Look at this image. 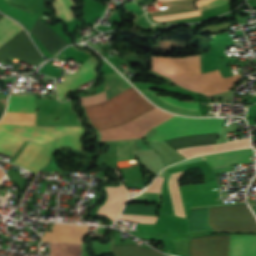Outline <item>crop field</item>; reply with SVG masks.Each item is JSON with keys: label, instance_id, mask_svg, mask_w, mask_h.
Returning a JSON list of instances; mask_svg holds the SVG:
<instances>
[{"label": "crop field", "instance_id": "20", "mask_svg": "<svg viewBox=\"0 0 256 256\" xmlns=\"http://www.w3.org/2000/svg\"><path fill=\"white\" fill-rule=\"evenodd\" d=\"M215 145L211 146H203V147H192V148H183L178 150L179 153L184 155L185 157H193L198 155H204L208 153L214 152Z\"/></svg>", "mask_w": 256, "mask_h": 256}, {"label": "crop field", "instance_id": "24", "mask_svg": "<svg viewBox=\"0 0 256 256\" xmlns=\"http://www.w3.org/2000/svg\"><path fill=\"white\" fill-rule=\"evenodd\" d=\"M120 218L133 221V222H146V223H155L157 219V217L136 216V215H121Z\"/></svg>", "mask_w": 256, "mask_h": 256}, {"label": "crop field", "instance_id": "9", "mask_svg": "<svg viewBox=\"0 0 256 256\" xmlns=\"http://www.w3.org/2000/svg\"><path fill=\"white\" fill-rule=\"evenodd\" d=\"M253 156L252 149L236 150L218 154L203 156L212 169L234 165L239 163L250 162V157Z\"/></svg>", "mask_w": 256, "mask_h": 256}, {"label": "crop field", "instance_id": "8", "mask_svg": "<svg viewBox=\"0 0 256 256\" xmlns=\"http://www.w3.org/2000/svg\"><path fill=\"white\" fill-rule=\"evenodd\" d=\"M104 188L108 193V201L105 205L99 207L97 213L106 215L110 217L111 220H116L127 198V190L122 184L118 187Z\"/></svg>", "mask_w": 256, "mask_h": 256}, {"label": "crop field", "instance_id": "19", "mask_svg": "<svg viewBox=\"0 0 256 256\" xmlns=\"http://www.w3.org/2000/svg\"><path fill=\"white\" fill-rule=\"evenodd\" d=\"M135 159L134 141L118 143V161Z\"/></svg>", "mask_w": 256, "mask_h": 256}, {"label": "crop field", "instance_id": "31", "mask_svg": "<svg viewBox=\"0 0 256 256\" xmlns=\"http://www.w3.org/2000/svg\"><path fill=\"white\" fill-rule=\"evenodd\" d=\"M8 94H0V99H7Z\"/></svg>", "mask_w": 256, "mask_h": 256}, {"label": "crop field", "instance_id": "32", "mask_svg": "<svg viewBox=\"0 0 256 256\" xmlns=\"http://www.w3.org/2000/svg\"><path fill=\"white\" fill-rule=\"evenodd\" d=\"M71 12V14H72V16H73V12H72V10L70 11ZM73 18L75 19V17L73 16Z\"/></svg>", "mask_w": 256, "mask_h": 256}, {"label": "crop field", "instance_id": "13", "mask_svg": "<svg viewBox=\"0 0 256 256\" xmlns=\"http://www.w3.org/2000/svg\"><path fill=\"white\" fill-rule=\"evenodd\" d=\"M113 252L116 256H164L153 249L133 245L114 246Z\"/></svg>", "mask_w": 256, "mask_h": 256}, {"label": "crop field", "instance_id": "3", "mask_svg": "<svg viewBox=\"0 0 256 256\" xmlns=\"http://www.w3.org/2000/svg\"><path fill=\"white\" fill-rule=\"evenodd\" d=\"M251 256H256V235H251ZM250 235L221 236L209 235L190 239L191 256H250Z\"/></svg>", "mask_w": 256, "mask_h": 256}, {"label": "crop field", "instance_id": "15", "mask_svg": "<svg viewBox=\"0 0 256 256\" xmlns=\"http://www.w3.org/2000/svg\"><path fill=\"white\" fill-rule=\"evenodd\" d=\"M22 28L17 25L15 21L4 17L0 20V46H2L6 41H8L12 36H14Z\"/></svg>", "mask_w": 256, "mask_h": 256}, {"label": "crop field", "instance_id": "5", "mask_svg": "<svg viewBox=\"0 0 256 256\" xmlns=\"http://www.w3.org/2000/svg\"><path fill=\"white\" fill-rule=\"evenodd\" d=\"M55 140L44 144L30 142L14 164L21 165L36 174L47 163Z\"/></svg>", "mask_w": 256, "mask_h": 256}, {"label": "crop field", "instance_id": "22", "mask_svg": "<svg viewBox=\"0 0 256 256\" xmlns=\"http://www.w3.org/2000/svg\"><path fill=\"white\" fill-rule=\"evenodd\" d=\"M161 201L159 193L144 192L141 195L129 200V202L159 204Z\"/></svg>", "mask_w": 256, "mask_h": 256}, {"label": "crop field", "instance_id": "7", "mask_svg": "<svg viewBox=\"0 0 256 256\" xmlns=\"http://www.w3.org/2000/svg\"><path fill=\"white\" fill-rule=\"evenodd\" d=\"M142 92L156 105L171 112L192 116H202L198 108V103L196 102H183L172 97L154 96L152 94L164 93H155L150 90H144Z\"/></svg>", "mask_w": 256, "mask_h": 256}, {"label": "crop field", "instance_id": "23", "mask_svg": "<svg viewBox=\"0 0 256 256\" xmlns=\"http://www.w3.org/2000/svg\"><path fill=\"white\" fill-rule=\"evenodd\" d=\"M250 143L249 140H240V141H230L222 144H218L216 147V151H223V150H229V149H235V148H243V147H249Z\"/></svg>", "mask_w": 256, "mask_h": 256}, {"label": "crop field", "instance_id": "16", "mask_svg": "<svg viewBox=\"0 0 256 256\" xmlns=\"http://www.w3.org/2000/svg\"><path fill=\"white\" fill-rule=\"evenodd\" d=\"M0 123L35 125V114L7 112Z\"/></svg>", "mask_w": 256, "mask_h": 256}, {"label": "crop field", "instance_id": "2", "mask_svg": "<svg viewBox=\"0 0 256 256\" xmlns=\"http://www.w3.org/2000/svg\"><path fill=\"white\" fill-rule=\"evenodd\" d=\"M70 132L86 131L83 127H39L0 124V152L12 157L25 140L44 143Z\"/></svg>", "mask_w": 256, "mask_h": 256}, {"label": "crop field", "instance_id": "6", "mask_svg": "<svg viewBox=\"0 0 256 256\" xmlns=\"http://www.w3.org/2000/svg\"><path fill=\"white\" fill-rule=\"evenodd\" d=\"M88 229L89 227L85 226L54 224L51 233L46 232L45 236H42V241L83 243Z\"/></svg>", "mask_w": 256, "mask_h": 256}, {"label": "crop field", "instance_id": "28", "mask_svg": "<svg viewBox=\"0 0 256 256\" xmlns=\"http://www.w3.org/2000/svg\"><path fill=\"white\" fill-rule=\"evenodd\" d=\"M63 2H64L63 0H55V1H52L51 4H52V6L54 7V6H56V5H58V4H61V3H63Z\"/></svg>", "mask_w": 256, "mask_h": 256}, {"label": "crop field", "instance_id": "18", "mask_svg": "<svg viewBox=\"0 0 256 256\" xmlns=\"http://www.w3.org/2000/svg\"><path fill=\"white\" fill-rule=\"evenodd\" d=\"M123 8H124V4H123ZM125 8L128 10V12L130 11V12H133V13H135V14H137L138 16H139V18L138 19H136L135 20V24L137 25V26H139V27H141V28H145V29H148L149 27H151L153 24H151V23H149L148 22V20H147V17H146V15H145V13H144V11H142V10H140V8L137 6V4H136V2H133V3H128V4H126L125 5ZM124 8V9H125ZM125 9V10H126ZM127 10H126V12H127ZM127 12V13H128ZM137 16V17H138ZM134 21V20H133ZM135 24H134V26H135ZM155 25V24H154ZM153 25V26H154ZM152 26V27H153ZM138 27V28H139ZM151 27V28H152ZM150 28V29H151ZM144 29V30H145Z\"/></svg>", "mask_w": 256, "mask_h": 256}, {"label": "crop field", "instance_id": "1", "mask_svg": "<svg viewBox=\"0 0 256 256\" xmlns=\"http://www.w3.org/2000/svg\"><path fill=\"white\" fill-rule=\"evenodd\" d=\"M153 106L131 87L101 104L85 106V109L92 125L100 131L126 124L154 109ZM224 121L217 118L175 116L153 127L159 131L149 139L155 142L185 135L219 132Z\"/></svg>", "mask_w": 256, "mask_h": 256}, {"label": "crop field", "instance_id": "29", "mask_svg": "<svg viewBox=\"0 0 256 256\" xmlns=\"http://www.w3.org/2000/svg\"><path fill=\"white\" fill-rule=\"evenodd\" d=\"M4 107H5V105L0 102V117H1V115L3 113Z\"/></svg>", "mask_w": 256, "mask_h": 256}, {"label": "crop field", "instance_id": "27", "mask_svg": "<svg viewBox=\"0 0 256 256\" xmlns=\"http://www.w3.org/2000/svg\"><path fill=\"white\" fill-rule=\"evenodd\" d=\"M162 179L163 178L157 177L156 180L154 181V183L145 191L159 192L161 183H162Z\"/></svg>", "mask_w": 256, "mask_h": 256}, {"label": "crop field", "instance_id": "11", "mask_svg": "<svg viewBox=\"0 0 256 256\" xmlns=\"http://www.w3.org/2000/svg\"><path fill=\"white\" fill-rule=\"evenodd\" d=\"M0 10L16 20L22 22L30 31L38 17L29 15L27 12L8 5L4 0H0Z\"/></svg>", "mask_w": 256, "mask_h": 256}, {"label": "crop field", "instance_id": "14", "mask_svg": "<svg viewBox=\"0 0 256 256\" xmlns=\"http://www.w3.org/2000/svg\"><path fill=\"white\" fill-rule=\"evenodd\" d=\"M183 173V171L175 170L174 173L170 176L169 185L170 190L172 194V198L174 201V205L177 211V215L180 217H185L183 205L181 202L180 194L177 188V179L180 177V175Z\"/></svg>", "mask_w": 256, "mask_h": 256}, {"label": "crop field", "instance_id": "26", "mask_svg": "<svg viewBox=\"0 0 256 256\" xmlns=\"http://www.w3.org/2000/svg\"><path fill=\"white\" fill-rule=\"evenodd\" d=\"M80 100H81V105H87V104H95V103H100L102 101H105L106 97H105V94L103 93L94 97L80 98Z\"/></svg>", "mask_w": 256, "mask_h": 256}, {"label": "crop field", "instance_id": "12", "mask_svg": "<svg viewBox=\"0 0 256 256\" xmlns=\"http://www.w3.org/2000/svg\"><path fill=\"white\" fill-rule=\"evenodd\" d=\"M7 111L35 113L33 96L11 95Z\"/></svg>", "mask_w": 256, "mask_h": 256}, {"label": "crop field", "instance_id": "25", "mask_svg": "<svg viewBox=\"0 0 256 256\" xmlns=\"http://www.w3.org/2000/svg\"><path fill=\"white\" fill-rule=\"evenodd\" d=\"M228 2H230V0H212V1H208V2H205V3L199 4L198 5V10H199V12L205 11V10L223 5V4L228 3Z\"/></svg>", "mask_w": 256, "mask_h": 256}, {"label": "crop field", "instance_id": "17", "mask_svg": "<svg viewBox=\"0 0 256 256\" xmlns=\"http://www.w3.org/2000/svg\"><path fill=\"white\" fill-rule=\"evenodd\" d=\"M82 135L83 133H76V134H67L65 136L59 137L57 139V142L53 151H56L66 146L73 147V148H83L80 142Z\"/></svg>", "mask_w": 256, "mask_h": 256}, {"label": "crop field", "instance_id": "33", "mask_svg": "<svg viewBox=\"0 0 256 256\" xmlns=\"http://www.w3.org/2000/svg\"><path fill=\"white\" fill-rule=\"evenodd\" d=\"M4 16L0 14V19L3 18Z\"/></svg>", "mask_w": 256, "mask_h": 256}, {"label": "crop field", "instance_id": "4", "mask_svg": "<svg viewBox=\"0 0 256 256\" xmlns=\"http://www.w3.org/2000/svg\"><path fill=\"white\" fill-rule=\"evenodd\" d=\"M209 224L214 232L256 231V220L246 204L209 209Z\"/></svg>", "mask_w": 256, "mask_h": 256}, {"label": "crop field", "instance_id": "30", "mask_svg": "<svg viewBox=\"0 0 256 256\" xmlns=\"http://www.w3.org/2000/svg\"><path fill=\"white\" fill-rule=\"evenodd\" d=\"M5 177V174L3 173V171L0 169V182L1 180Z\"/></svg>", "mask_w": 256, "mask_h": 256}, {"label": "crop field", "instance_id": "10", "mask_svg": "<svg viewBox=\"0 0 256 256\" xmlns=\"http://www.w3.org/2000/svg\"><path fill=\"white\" fill-rule=\"evenodd\" d=\"M95 75V71L86 61L77 73L64 76L63 84H56L59 92V98H64L70 90L74 89L80 84L89 82L94 78Z\"/></svg>", "mask_w": 256, "mask_h": 256}, {"label": "crop field", "instance_id": "21", "mask_svg": "<svg viewBox=\"0 0 256 256\" xmlns=\"http://www.w3.org/2000/svg\"><path fill=\"white\" fill-rule=\"evenodd\" d=\"M65 2L66 3L56 6L53 9L55 10L57 17H60L68 22L73 19L69 10L74 8L75 4L72 0H65Z\"/></svg>", "mask_w": 256, "mask_h": 256}]
</instances>
